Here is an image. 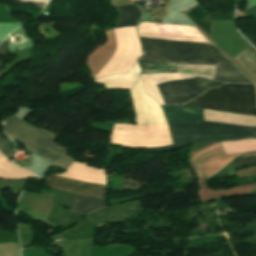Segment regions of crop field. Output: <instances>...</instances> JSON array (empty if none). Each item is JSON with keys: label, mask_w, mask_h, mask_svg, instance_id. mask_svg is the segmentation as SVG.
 <instances>
[{"label": "crop field", "mask_w": 256, "mask_h": 256, "mask_svg": "<svg viewBox=\"0 0 256 256\" xmlns=\"http://www.w3.org/2000/svg\"><path fill=\"white\" fill-rule=\"evenodd\" d=\"M22 2H28V3H44L46 4L48 0H20Z\"/></svg>", "instance_id": "16"}, {"label": "crop field", "mask_w": 256, "mask_h": 256, "mask_svg": "<svg viewBox=\"0 0 256 256\" xmlns=\"http://www.w3.org/2000/svg\"><path fill=\"white\" fill-rule=\"evenodd\" d=\"M118 9L120 16L115 28L136 24L140 17V11L136 5L122 6L118 7Z\"/></svg>", "instance_id": "10"}, {"label": "crop field", "mask_w": 256, "mask_h": 256, "mask_svg": "<svg viewBox=\"0 0 256 256\" xmlns=\"http://www.w3.org/2000/svg\"><path fill=\"white\" fill-rule=\"evenodd\" d=\"M0 150L8 157L10 158L12 154V147L11 143L7 141L4 137L0 135Z\"/></svg>", "instance_id": "13"}, {"label": "crop field", "mask_w": 256, "mask_h": 256, "mask_svg": "<svg viewBox=\"0 0 256 256\" xmlns=\"http://www.w3.org/2000/svg\"><path fill=\"white\" fill-rule=\"evenodd\" d=\"M143 60L172 63L232 65L211 44L140 37ZM139 60L142 73L175 72L176 64ZM215 80L233 83H251L234 66H217Z\"/></svg>", "instance_id": "2"}, {"label": "crop field", "mask_w": 256, "mask_h": 256, "mask_svg": "<svg viewBox=\"0 0 256 256\" xmlns=\"http://www.w3.org/2000/svg\"><path fill=\"white\" fill-rule=\"evenodd\" d=\"M0 54H2V55H4V56L7 57V55H8L7 44L2 43V44L0 45Z\"/></svg>", "instance_id": "14"}, {"label": "crop field", "mask_w": 256, "mask_h": 256, "mask_svg": "<svg viewBox=\"0 0 256 256\" xmlns=\"http://www.w3.org/2000/svg\"><path fill=\"white\" fill-rule=\"evenodd\" d=\"M106 206V199L76 195L72 211L88 214Z\"/></svg>", "instance_id": "9"}, {"label": "crop field", "mask_w": 256, "mask_h": 256, "mask_svg": "<svg viewBox=\"0 0 256 256\" xmlns=\"http://www.w3.org/2000/svg\"><path fill=\"white\" fill-rule=\"evenodd\" d=\"M223 82L211 81L205 78H194L169 81L158 85L159 92L165 105L185 104L191 98L203 94ZM137 124H196V120H203L202 110L186 105L161 106L149 97L145 91L141 78L130 90Z\"/></svg>", "instance_id": "1"}, {"label": "crop field", "mask_w": 256, "mask_h": 256, "mask_svg": "<svg viewBox=\"0 0 256 256\" xmlns=\"http://www.w3.org/2000/svg\"><path fill=\"white\" fill-rule=\"evenodd\" d=\"M253 85L225 84L205 92L198 99L256 109Z\"/></svg>", "instance_id": "5"}, {"label": "crop field", "mask_w": 256, "mask_h": 256, "mask_svg": "<svg viewBox=\"0 0 256 256\" xmlns=\"http://www.w3.org/2000/svg\"><path fill=\"white\" fill-rule=\"evenodd\" d=\"M173 145L147 148V151L164 152L190 143L222 142L254 138L256 127L197 121V125H169Z\"/></svg>", "instance_id": "3"}, {"label": "crop field", "mask_w": 256, "mask_h": 256, "mask_svg": "<svg viewBox=\"0 0 256 256\" xmlns=\"http://www.w3.org/2000/svg\"><path fill=\"white\" fill-rule=\"evenodd\" d=\"M57 177H49L47 180L48 185L55 189L63 190L74 194L107 198L106 186L91 183H83Z\"/></svg>", "instance_id": "6"}, {"label": "crop field", "mask_w": 256, "mask_h": 256, "mask_svg": "<svg viewBox=\"0 0 256 256\" xmlns=\"http://www.w3.org/2000/svg\"><path fill=\"white\" fill-rule=\"evenodd\" d=\"M188 105L198 109H206V110H213V111L256 116L255 110L239 108V107L229 106V105L220 104V103H210V102L201 101L197 99H193L192 101L188 102ZM255 138H256V135H255Z\"/></svg>", "instance_id": "8"}, {"label": "crop field", "mask_w": 256, "mask_h": 256, "mask_svg": "<svg viewBox=\"0 0 256 256\" xmlns=\"http://www.w3.org/2000/svg\"><path fill=\"white\" fill-rule=\"evenodd\" d=\"M3 127L5 133L23 143L27 151L33 152L65 170L72 164L73 160L65 155L67 150L53 143L55 134L35 129L14 116L5 119Z\"/></svg>", "instance_id": "4"}, {"label": "crop field", "mask_w": 256, "mask_h": 256, "mask_svg": "<svg viewBox=\"0 0 256 256\" xmlns=\"http://www.w3.org/2000/svg\"><path fill=\"white\" fill-rule=\"evenodd\" d=\"M140 75L141 72L136 62L128 73L113 74L94 81L103 83L106 89H131Z\"/></svg>", "instance_id": "7"}, {"label": "crop field", "mask_w": 256, "mask_h": 256, "mask_svg": "<svg viewBox=\"0 0 256 256\" xmlns=\"http://www.w3.org/2000/svg\"><path fill=\"white\" fill-rule=\"evenodd\" d=\"M235 59L256 76V52L250 46L237 55Z\"/></svg>", "instance_id": "11"}, {"label": "crop field", "mask_w": 256, "mask_h": 256, "mask_svg": "<svg viewBox=\"0 0 256 256\" xmlns=\"http://www.w3.org/2000/svg\"><path fill=\"white\" fill-rule=\"evenodd\" d=\"M244 15H256V6L253 8H250L246 11H243Z\"/></svg>", "instance_id": "15"}, {"label": "crop field", "mask_w": 256, "mask_h": 256, "mask_svg": "<svg viewBox=\"0 0 256 256\" xmlns=\"http://www.w3.org/2000/svg\"><path fill=\"white\" fill-rule=\"evenodd\" d=\"M256 47V37L254 36L253 39L250 41Z\"/></svg>", "instance_id": "17"}, {"label": "crop field", "mask_w": 256, "mask_h": 256, "mask_svg": "<svg viewBox=\"0 0 256 256\" xmlns=\"http://www.w3.org/2000/svg\"><path fill=\"white\" fill-rule=\"evenodd\" d=\"M233 165L235 170L246 165H256V157L244 159L243 156H241L239 159L233 162Z\"/></svg>", "instance_id": "12"}]
</instances>
